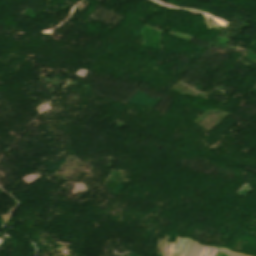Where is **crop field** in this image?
Returning a JSON list of instances; mask_svg holds the SVG:
<instances>
[{
  "instance_id": "8a807250",
  "label": "crop field",
  "mask_w": 256,
  "mask_h": 256,
  "mask_svg": "<svg viewBox=\"0 0 256 256\" xmlns=\"http://www.w3.org/2000/svg\"><path fill=\"white\" fill-rule=\"evenodd\" d=\"M202 249H203V246L198 244L197 247L195 248L192 256H199V254L202 251Z\"/></svg>"
},
{
  "instance_id": "34b2d1b8",
  "label": "crop field",
  "mask_w": 256,
  "mask_h": 256,
  "mask_svg": "<svg viewBox=\"0 0 256 256\" xmlns=\"http://www.w3.org/2000/svg\"><path fill=\"white\" fill-rule=\"evenodd\" d=\"M225 256H227V255H225Z\"/></svg>"
},
{
  "instance_id": "ac0d7876",
  "label": "crop field",
  "mask_w": 256,
  "mask_h": 256,
  "mask_svg": "<svg viewBox=\"0 0 256 256\" xmlns=\"http://www.w3.org/2000/svg\"><path fill=\"white\" fill-rule=\"evenodd\" d=\"M196 244H197L196 242L193 244V246H192V248H191V251H190L189 256H191V255H192V252H193V250H194V248H195Z\"/></svg>"
}]
</instances>
